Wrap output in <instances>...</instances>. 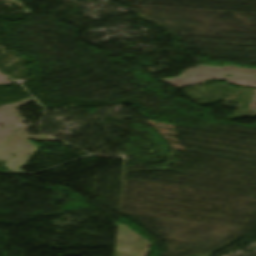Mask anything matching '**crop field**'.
Instances as JSON below:
<instances>
[{
	"label": "crop field",
	"instance_id": "1",
	"mask_svg": "<svg viewBox=\"0 0 256 256\" xmlns=\"http://www.w3.org/2000/svg\"><path fill=\"white\" fill-rule=\"evenodd\" d=\"M227 74L234 75V77H226ZM208 79H221L230 83L256 87V70L229 66H224L222 69L199 66L183 72L180 77L162 81L179 88L201 84Z\"/></svg>",
	"mask_w": 256,
	"mask_h": 256
}]
</instances>
